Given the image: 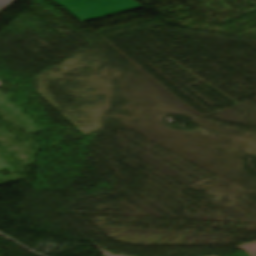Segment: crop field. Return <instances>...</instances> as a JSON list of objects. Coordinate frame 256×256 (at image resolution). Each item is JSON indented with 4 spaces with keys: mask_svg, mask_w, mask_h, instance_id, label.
Returning a JSON list of instances; mask_svg holds the SVG:
<instances>
[{
    "mask_svg": "<svg viewBox=\"0 0 256 256\" xmlns=\"http://www.w3.org/2000/svg\"><path fill=\"white\" fill-rule=\"evenodd\" d=\"M55 1V0H54ZM81 21L141 7L132 0H56Z\"/></svg>",
    "mask_w": 256,
    "mask_h": 256,
    "instance_id": "crop-field-1",
    "label": "crop field"
},
{
    "mask_svg": "<svg viewBox=\"0 0 256 256\" xmlns=\"http://www.w3.org/2000/svg\"><path fill=\"white\" fill-rule=\"evenodd\" d=\"M13 1L14 0H0V11L3 10L6 6H8Z\"/></svg>",
    "mask_w": 256,
    "mask_h": 256,
    "instance_id": "crop-field-2",
    "label": "crop field"
}]
</instances>
